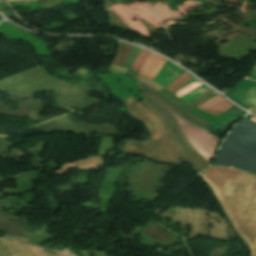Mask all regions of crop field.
<instances>
[{"label":"crop field","mask_w":256,"mask_h":256,"mask_svg":"<svg viewBox=\"0 0 256 256\" xmlns=\"http://www.w3.org/2000/svg\"><path fill=\"white\" fill-rule=\"evenodd\" d=\"M124 70H125L124 67H118V66H113V65H111L110 69H109V71H111L112 73H123Z\"/></svg>","instance_id":"22f410ed"},{"label":"crop field","mask_w":256,"mask_h":256,"mask_svg":"<svg viewBox=\"0 0 256 256\" xmlns=\"http://www.w3.org/2000/svg\"><path fill=\"white\" fill-rule=\"evenodd\" d=\"M193 76L189 75L188 73H184L181 77H179L175 82H173L168 89L172 93L176 91L179 87H181L184 83H186L188 80H190Z\"/></svg>","instance_id":"d8731c3e"},{"label":"crop field","mask_w":256,"mask_h":256,"mask_svg":"<svg viewBox=\"0 0 256 256\" xmlns=\"http://www.w3.org/2000/svg\"><path fill=\"white\" fill-rule=\"evenodd\" d=\"M117 77L123 83L124 86H126L127 88L132 90L140 98H143L142 95H141V92L139 90V87L137 85V81L136 80L131 79V78H129V77L125 76V75H122V74H118Z\"/></svg>","instance_id":"e52e79f7"},{"label":"crop field","mask_w":256,"mask_h":256,"mask_svg":"<svg viewBox=\"0 0 256 256\" xmlns=\"http://www.w3.org/2000/svg\"><path fill=\"white\" fill-rule=\"evenodd\" d=\"M233 105L228 102L227 100L221 102L220 104L216 105L215 107L209 109L207 112H210L212 114L218 115L221 112L225 111L226 109L232 107Z\"/></svg>","instance_id":"5a996713"},{"label":"crop field","mask_w":256,"mask_h":256,"mask_svg":"<svg viewBox=\"0 0 256 256\" xmlns=\"http://www.w3.org/2000/svg\"><path fill=\"white\" fill-rule=\"evenodd\" d=\"M127 153L143 155L155 161L182 164L178 149L172 139L146 142L131 141Z\"/></svg>","instance_id":"412701ff"},{"label":"crop field","mask_w":256,"mask_h":256,"mask_svg":"<svg viewBox=\"0 0 256 256\" xmlns=\"http://www.w3.org/2000/svg\"><path fill=\"white\" fill-rule=\"evenodd\" d=\"M160 101V100H159ZM161 102V101H160ZM162 103V102H161ZM169 111L173 113L178 124L183 130L187 140L190 142L192 147L208 162H210L213 153L219 143V139L216 138L212 133L196 126L195 124L189 122L167 105L162 103Z\"/></svg>","instance_id":"34b2d1b8"},{"label":"crop field","mask_w":256,"mask_h":256,"mask_svg":"<svg viewBox=\"0 0 256 256\" xmlns=\"http://www.w3.org/2000/svg\"><path fill=\"white\" fill-rule=\"evenodd\" d=\"M225 99H223L221 96L217 95L211 99H209L208 101L204 102L203 104H201L200 106H198L197 108H200L204 111L208 110L209 108H211L212 106L220 103L221 101H223Z\"/></svg>","instance_id":"3316defc"},{"label":"crop field","mask_w":256,"mask_h":256,"mask_svg":"<svg viewBox=\"0 0 256 256\" xmlns=\"http://www.w3.org/2000/svg\"><path fill=\"white\" fill-rule=\"evenodd\" d=\"M164 59L151 53L148 59L143 64V66L141 67V69L139 70L138 76L153 80V78L156 76L160 68L163 66L165 62Z\"/></svg>","instance_id":"dd49c442"},{"label":"crop field","mask_w":256,"mask_h":256,"mask_svg":"<svg viewBox=\"0 0 256 256\" xmlns=\"http://www.w3.org/2000/svg\"><path fill=\"white\" fill-rule=\"evenodd\" d=\"M140 81L144 82L145 84L149 85L150 87L154 88L155 90H159L162 88V86L154 83V82H151L149 80H145V79H141V78H138Z\"/></svg>","instance_id":"d1516ede"},{"label":"crop field","mask_w":256,"mask_h":256,"mask_svg":"<svg viewBox=\"0 0 256 256\" xmlns=\"http://www.w3.org/2000/svg\"><path fill=\"white\" fill-rule=\"evenodd\" d=\"M201 177L209 184L227 216L231 217L233 214L234 217L229 219L235 231L247 242L251 256H256V177L243 171L218 166L211 167ZM220 195L254 210L222 197L231 214ZM245 226L246 229L254 231L244 229Z\"/></svg>","instance_id":"8a807250"},{"label":"crop field","mask_w":256,"mask_h":256,"mask_svg":"<svg viewBox=\"0 0 256 256\" xmlns=\"http://www.w3.org/2000/svg\"><path fill=\"white\" fill-rule=\"evenodd\" d=\"M127 103V107L129 112L143 120L149 130L151 131L152 135L149 140H157L161 136L164 131L162 124L160 123L159 119L156 118L151 112L145 109L138 101H136L131 96L123 99Z\"/></svg>","instance_id":"f4fd0767"},{"label":"crop field","mask_w":256,"mask_h":256,"mask_svg":"<svg viewBox=\"0 0 256 256\" xmlns=\"http://www.w3.org/2000/svg\"><path fill=\"white\" fill-rule=\"evenodd\" d=\"M149 52H146L144 50H142V52L140 53V55L137 57V59L134 61V63L132 64L131 68H133L136 72H138L140 66L143 64V62L146 60V58L148 57Z\"/></svg>","instance_id":"28ad6ade"},{"label":"crop field","mask_w":256,"mask_h":256,"mask_svg":"<svg viewBox=\"0 0 256 256\" xmlns=\"http://www.w3.org/2000/svg\"><path fill=\"white\" fill-rule=\"evenodd\" d=\"M138 85L145 98V100L143 101L144 105L151 109L153 112H155L160 118L169 134L178 144L184 160L197 171H202L209 163L191 147V145L186 140L184 134L182 133L176 120L174 119L172 113L169 112L153 95L158 97L161 101H163L165 104H167L169 107H171L173 110H175L177 113H179L189 121L203 128L209 123L184 110L167 98L157 94L158 92H154L152 89H150L140 81H138Z\"/></svg>","instance_id":"ac0d7876"}]
</instances>
